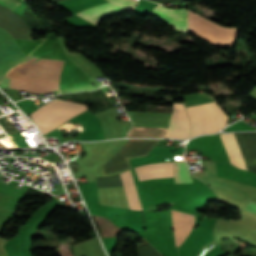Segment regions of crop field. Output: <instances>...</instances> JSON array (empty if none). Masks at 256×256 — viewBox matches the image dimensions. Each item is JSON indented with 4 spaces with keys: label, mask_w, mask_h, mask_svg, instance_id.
I'll return each mask as SVG.
<instances>
[{
    "label": "crop field",
    "mask_w": 256,
    "mask_h": 256,
    "mask_svg": "<svg viewBox=\"0 0 256 256\" xmlns=\"http://www.w3.org/2000/svg\"><path fill=\"white\" fill-rule=\"evenodd\" d=\"M120 175H121L122 183L126 193L129 208L132 210H142L130 171L128 170L124 173H121Z\"/></svg>",
    "instance_id": "crop-field-14"
},
{
    "label": "crop field",
    "mask_w": 256,
    "mask_h": 256,
    "mask_svg": "<svg viewBox=\"0 0 256 256\" xmlns=\"http://www.w3.org/2000/svg\"><path fill=\"white\" fill-rule=\"evenodd\" d=\"M165 128L153 127H132L128 132V137H162Z\"/></svg>",
    "instance_id": "crop-field-15"
},
{
    "label": "crop field",
    "mask_w": 256,
    "mask_h": 256,
    "mask_svg": "<svg viewBox=\"0 0 256 256\" xmlns=\"http://www.w3.org/2000/svg\"><path fill=\"white\" fill-rule=\"evenodd\" d=\"M86 109L87 105L57 99L32 112L30 117L43 135Z\"/></svg>",
    "instance_id": "crop-field-2"
},
{
    "label": "crop field",
    "mask_w": 256,
    "mask_h": 256,
    "mask_svg": "<svg viewBox=\"0 0 256 256\" xmlns=\"http://www.w3.org/2000/svg\"><path fill=\"white\" fill-rule=\"evenodd\" d=\"M172 228L176 247L179 246L191 231L195 216L170 210Z\"/></svg>",
    "instance_id": "crop-field-11"
},
{
    "label": "crop field",
    "mask_w": 256,
    "mask_h": 256,
    "mask_svg": "<svg viewBox=\"0 0 256 256\" xmlns=\"http://www.w3.org/2000/svg\"><path fill=\"white\" fill-rule=\"evenodd\" d=\"M62 60L40 59L16 70L9 87L29 92L47 93L58 89Z\"/></svg>",
    "instance_id": "crop-field-1"
},
{
    "label": "crop field",
    "mask_w": 256,
    "mask_h": 256,
    "mask_svg": "<svg viewBox=\"0 0 256 256\" xmlns=\"http://www.w3.org/2000/svg\"><path fill=\"white\" fill-rule=\"evenodd\" d=\"M0 4L10 11H14L20 2L15 0H0ZM0 5V27L7 30L14 39L21 38L31 40V29L22 17L10 12Z\"/></svg>",
    "instance_id": "crop-field-6"
},
{
    "label": "crop field",
    "mask_w": 256,
    "mask_h": 256,
    "mask_svg": "<svg viewBox=\"0 0 256 256\" xmlns=\"http://www.w3.org/2000/svg\"><path fill=\"white\" fill-rule=\"evenodd\" d=\"M110 2L102 4L100 6L87 9L77 13L82 18L98 25L99 21L104 17L116 14L119 12L132 10L137 4L132 0H109Z\"/></svg>",
    "instance_id": "crop-field-8"
},
{
    "label": "crop field",
    "mask_w": 256,
    "mask_h": 256,
    "mask_svg": "<svg viewBox=\"0 0 256 256\" xmlns=\"http://www.w3.org/2000/svg\"><path fill=\"white\" fill-rule=\"evenodd\" d=\"M16 44L8 33L0 32V81L9 70L25 58Z\"/></svg>",
    "instance_id": "crop-field-7"
},
{
    "label": "crop field",
    "mask_w": 256,
    "mask_h": 256,
    "mask_svg": "<svg viewBox=\"0 0 256 256\" xmlns=\"http://www.w3.org/2000/svg\"><path fill=\"white\" fill-rule=\"evenodd\" d=\"M243 209L256 213V203L249 201Z\"/></svg>",
    "instance_id": "crop-field-18"
},
{
    "label": "crop field",
    "mask_w": 256,
    "mask_h": 256,
    "mask_svg": "<svg viewBox=\"0 0 256 256\" xmlns=\"http://www.w3.org/2000/svg\"><path fill=\"white\" fill-rule=\"evenodd\" d=\"M158 141L159 140L130 139L102 168L103 177L130 169L128 159L147 155Z\"/></svg>",
    "instance_id": "crop-field-5"
},
{
    "label": "crop field",
    "mask_w": 256,
    "mask_h": 256,
    "mask_svg": "<svg viewBox=\"0 0 256 256\" xmlns=\"http://www.w3.org/2000/svg\"><path fill=\"white\" fill-rule=\"evenodd\" d=\"M94 217L101 228L103 237H117L118 233H120L121 231H124V230L118 229L108 219H106L104 217H99V216H95V215H94ZM94 217L92 216L93 220L95 221ZM96 221H95V223L100 231V228ZM100 234H101V232H100Z\"/></svg>",
    "instance_id": "crop-field-16"
},
{
    "label": "crop field",
    "mask_w": 256,
    "mask_h": 256,
    "mask_svg": "<svg viewBox=\"0 0 256 256\" xmlns=\"http://www.w3.org/2000/svg\"><path fill=\"white\" fill-rule=\"evenodd\" d=\"M219 136L231 164L239 168L247 169L234 133L221 134Z\"/></svg>",
    "instance_id": "crop-field-13"
},
{
    "label": "crop field",
    "mask_w": 256,
    "mask_h": 256,
    "mask_svg": "<svg viewBox=\"0 0 256 256\" xmlns=\"http://www.w3.org/2000/svg\"><path fill=\"white\" fill-rule=\"evenodd\" d=\"M192 182V178L188 173L186 163L183 161L175 162L174 183Z\"/></svg>",
    "instance_id": "crop-field-17"
},
{
    "label": "crop field",
    "mask_w": 256,
    "mask_h": 256,
    "mask_svg": "<svg viewBox=\"0 0 256 256\" xmlns=\"http://www.w3.org/2000/svg\"><path fill=\"white\" fill-rule=\"evenodd\" d=\"M52 3L58 2V1H62V0H49Z\"/></svg>",
    "instance_id": "crop-field-20"
},
{
    "label": "crop field",
    "mask_w": 256,
    "mask_h": 256,
    "mask_svg": "<svg viewBox=\"0 0 256 256\" xmlns=\"http://www.w3.org/2000/svg\"><path fill=\"white\" fill-rule=\"evenodd\" d=\"M150 1L160 3V2H164V1H180V0H150Z\"/></svg>",
    "instance_id": "crop-field-19"
},
{
    "label": "crop field",
    "mask_w": 256,
    "mask_h": 256,
    "mask_svg": "<svg viewBox=\"0 0 256 256\" xmlns=\"http://www.w3.org/2000/svg\"><path fill=\"white\" fill-rule=\"evenodd\" d=\"M191 122L190 137L214 133L224 127L227 116L215 102L186 108Z\"/></svg>",
    "instance_id": "crop-field-3"
},
{
    "label": "crop field",
    "mask_w": 256,
    "mask_h": 256,
    "mask_svg": "<svg viewBox=\"0 0 256 256\" xmlns=\"http://www.w3.org/2000/svg\"><path fill=\"white\" fill-rule=\"evenodd\" d=\"M174 162L157 163L134 168L139 180L173 176Z\"/></svg>",
    "instance_id": "crop-field-12"
},
{
    "label": "crop field",
    "mask_w": 256,
    "mask_h": 256,
    "mask_svg": "<svg viewBox=\"0 0 256 256\" xmlns=\"http://www.w3.org/2000/svg\"><path fill=\"white\" fill-rule=\"evenodd\" d=\"M171 138H187L189 135L190 124L186 116L183 102L173 104V112L170 123ZM169 128L167 133L163 136L170 138Z\"/></svg>",
    "instance_id": "crop-field-9"
},
{
    "label": "crop field",
    "mask_w": 256,
    "mask_h": 256,
    "mask_svg": "<svg viewBox=\"0 0 256 256\" xmlns=\"http://www.w3.org/2000/svg\"><path fill=\"white\" fill-rule=\"evenodd\" d=\"M149 14L161 19L168 25L187 31V10H173L158 5Z\"/></svg>",
    "instance_id": "crop-field-10"
},
{
    "label": "crop field",
    "mask_w": 256,
    "mask_h": 256,
    "mask_svg": "<svg viewBox=\"0 0 256 256\" xmlns=\"http://www.w3.org/2000/svg\"><path fill=\"white\" fill-rule=\"evenodd\" d=\"M190 32L206 40L215 47H230L236 28H226L215 24L191 11H189Z\"/></svg>",
    "instance_id": "crop-field-4"
}]
</instances>
